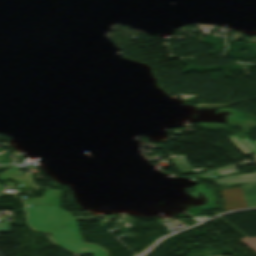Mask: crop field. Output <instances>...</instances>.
<instances>
[{"label": "crop field", "instance_id": "7", "mask_svg": "<svg viewBox=\"0 0 256 256\" xmlns=\"http://www.w3.org/2000/svg\"><path fill=\"white\" fill-rule=\"evenodd\" d=\"M171 161L174 163L179 172L192 169L185 157H174L171 158Z\"/></svg>", "mask_w": 256, "mask_h": 256}, {"label": "crop field", "instance_id": "8", "mask_svg": "<svg viewBox=\"0 0 256 256\" xmlns=\"http://www.w3.org/2000/svg\"><path fill=\"white\" fill-rule=\"evenodd\" d=\"M215 171L217 172V174L219 176L227 175V174H231V173H235L236 172V170L234 169L233 165L227 166V167H223V168H219V169H215Z\"/></svg>", "mask_w": 256, "mask_h": 256}, {"label": "crop field", "instance_id": "1", "mask_svg": "<svg viewBox=\"0 0 256 256\" xmlns=\"http://www.w3.org/2000/svg\"><path fill=\"white\" fill-rule=\"evenodd\" d=\"M63 191L46 189L43 198L25 200L28 221L34 229L51 233L52 240L77 255L94 252V256H105L100 248L82 243L73 215L59 209ZM55 204V206H32ZM52 217V219H50Z\"/></svg>", "mask_w": 256, "mask_h": 256}, {"label": "crop field", "instance_id": "2", "mask_svg": "<svg viewBox=\"0 0 256 256\" xmlns=\"http://www.w3.org/2000/svg\"><path fill=\"white\" fill-rule=\"evenodd\" d=\"M221 192L226 201L224 210L248 208L241 187L233 189L222 188Z\"/></svg>", "mask_w": 256, "mask_h": 256}, {"label": "crop field", "instance_id": "3", "mask_svg": "<svg viewBox=\"0 0 256 256\" xmlns=\"http://www.w3.org/2000/svg\"><path fill=\"white\" fill-rule=\"evenodd\" d=\"M214 182L217 186H227V185H236V184H254L256 183V172L248 175L240 176H227L219 179H215ZM232 182V184H229Z\"/></svg>", "mask_w": 256, "mask_h": 256}, {"label": "crop field", "instance_id": "4", "mask_svg": "<svg viewBox=\"0 0 256 256\" xmlns=\"http://www.w3.org/2000/svg\"><path fill=\"white\" fill-rule=\"evenodd\" d=\"M229 139L245 155L252 154L256 157V141H251L249 138L239 139L236 136L229 137Z\"/></svg>", "mask_w": 256, "mask_h": 256}, {"label": "crop field", "instance_id": "5", "mask_svg": "<svg viewBox=\"0 0 256 256\" xmlns=\"http://www.w3.org/2000/svg\"><path fill=\"white\" fill-rule=\"evenodd\" d=\"M21 178V179H19ZM11 179L17 183H21V187L24 188H35L33 183L30 182L26 176H17L14 169H7L4 173L0 174V180ZM28 181V183L26 182Z\"/></svg>", "mask_w": 256, "mask_h": 256}, {"label": "crop field", "instance_id": "9", "mask_svg": "<svg viewBox=\"0 0 256 256\" xmlns=\"http://www.w3.org/2000/svg\"><path fill=\"white\" fill-rule=\"evenodd\" d=\"M245 244H247L249 247H251L253 250L256 251V238H250V239H242Z\"/></svg>", "mask_w": 256, "mask_h": 256}, {"label": "crop field", "instance_id": "10", "mask_svg": "<svg viewBox=\"0 0 256 256\" xmlns=\"http://www.w3.org/2000/svg\"><path fill=\"white\" fill-rule=\"evenodd\" d=\"M10 225H0V233L1 232H9Z\"/></svg>", "mask_w": 256, "mask_h": 256}, {"label": "crop field", "instance_id": "6", "mask_svg": "<svg viewBox=\"0 0 256 256\" xmlns=\"http://www.w3.org/2000/svg\"><path fill=\"white\" fill-rule=\"evenodd\" d=\"M256 186L254 185H242V189L249 208L256 207Z\"/></svg>", "mask_w": 256, "mask_h": 256}]
</instances>
